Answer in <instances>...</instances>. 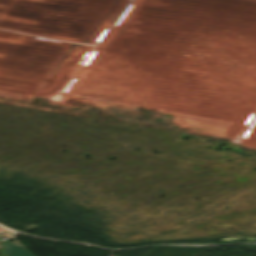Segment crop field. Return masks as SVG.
<instances>
[{
  "instance_id": "crop-field-1",
  "label": "crop field",
  "mask_w": 256,
  "mask_h": 256,
  "mask_svg": "<svg viewBox=\"0 0 256 256\" xmlns=\"http://www.w3.org/2000/svg\"><path fill=\"white\" fill-rule=\"evenodd\" d=\"M6 256H33L18 241L0 243ZM35 256V255H34Z\"/></svg>"
},
{
  "instance_id": "crop-field-2",
  "label": "crop field",
  "mask_w": 256,
  "mask_h": 256,
  "mask_svg": "<svg viewBox=\"0 0 256 256\" xmlns=\"http://www.w3.org/2000/svg\"><path fill=\"white\" fill-rule=\"evenodd\" d=\"M0 256H5V254H4V252H3L2 248H1V246H0Z\"/></svg>"
}]
</instances>
